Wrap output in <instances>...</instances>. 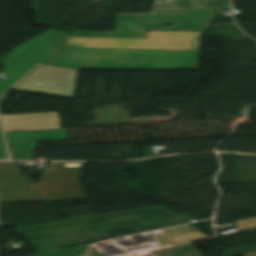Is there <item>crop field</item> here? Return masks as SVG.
<instances>
[{"label":"crop field","instance_id":"1","mask_svg":"<svg viewBox=\"0 0 256 256\" xmlns=\"http://www.w3.org/2000/svg\"><path fill=\"white\" fill-rule=\"evenodd\" d=\"M199 51L63 48L52 65L72 68L175 69Z\"/></svg>","mask_w":256,"mask_h":256},{"label":"crop field","instance_id":"2","mask_svg":"<svg viewBox=\"0 0 256 256\" xmlns=\"http://www.w3.org/2000/svg\"><path fill=\"white\" fill-rule=\"evenodd\" d=\"M216 9L186 10L182 15H118V31L75 30L70 37L146 38L148 30L205 31ZM171 23L172 26H164Z\"/></svg>","mask_w":256,"mask_h":256},{"label":"crop field","instance_id":"3","mask_svg":"<svg viewBox=\"0 0 256 256\" xmlns=\"http://www.w3.org/2000/svg\"><path fill=\"white\" fill-rule=\"evenodd\" d=\"M200 32L149 31L147 39L68 38L63 47L199 50Z\"/></svg>","mask_w":256,"mask_h":256},{"label":"crop field","instance_id":"4","mask_svg":"<svg viewBox=\"0 0 256 256\" xmlns=\"http://www.w3.org/2000/svg\"><path fill=\"white\" fill-rule=\"evenodd\" d=\"M69 35L50 29L15 48L0 63L28 72L38 62L50 63Z\"/></svg>","mask_w":256,"mask_h":256},{"label":"crop field","instance_id":"5","mask_svg":"<svg viewBox=\"0 0 256 256\" xmlns=\"http://www.w3.org/2000/svg\"><path fill=\"white\" fill-rule=\"evenodd\" d=\"M77 75L75 69L40 65L13 89L74 98Z\"/></svg>","mask_w":256,"mask_h":256},{"label":"crop field","instance_id":"6","mask_svg":"<svg viewBox=\"0 0 256 256\" xmlns=\"http://www.w3.org/2000/svg\"><path fill=\"white\" fill-rule=\"evenodd\" d=\"M5 133L12 159L33 160V150L40 140H68L65 129Z\"/></svg>","mask_w":256,"mask_h":256},{"label":"crop field","instance_id":"7","mask_svg":"<svg viewBox=\"0 0 256 256\" xmlns=\"http://www.w3.org/2000/svg\"><path fill=\"white\" fill-rule=\"evenodd\" d=\"M5 131L61 128L58 112L1 115Z\"/></svg>","mask_w":256,"mask_h":256},{"label":"crop field","instance_id":"8","mask_svg":"<svg viewBox=\"0 0 256 256\" xmlns=\"http://www.w3.org/2000/svg\"><path fill=\"white\" fill-rule=\"evenodd\" d=\"M231 0H168L155 3L152 13H183L190 8H231Z\"/></svg>","mask_w":256,"mask_h":256},{"label":"crop field","instance_id":"9","mask_svg":"<svg viewBox=\"0 0 256 256\" xmlns=\"http://www.w3.org/2000/svg\"><path fill=\"white\" fill-rule=\"evenodd\" d=\"M171 234H173L176 238H178L182 242L208 238L207 236L200 233L199 229L191 227L189 225L180 226L176 228L166 229ZM163 246L178 244L175 240H173L167 233L163 230L152 232L151 233Z\"/></svg>","mask_w":256,"mask_h":256},{"label":"crop field","instance_id":"10","mask_svg":"<svg viewBox=\"0 0 256 256\" xmlns=\"http://www.w3.org/2000/svg\"><path fill=\"white\" fill-rule=\"evenodd\" d=\"M156 256H202L190 243L153 252Z\"/></svg>","mask_w":256,"mask_h":256},{"label":"crop field","instance_id":"11","mask_svg":"<svg viewBox=\"0 0 256 256\" xmlns=\"http://www.w3.org/2000/svg\"><path fill=\"white\" fill-rule=\"evenodd\" d=\"M92 244L84 245L80 247L70 248L66 250L41 254L37 256H85Z\"/></svg>","mask_w":256,"mask_h":256},{"label":"crop field","instance_id":"12","mask_svg":"<svg viewBox=\"0 0 256 256\" xmlns=\"http://www.w3.org/2000/svg\"><path fill=\"white\" fill-rule=\"evenodd\" d=\"M34 248L39 252H47V251H53L58 250L59 248L53 243V241L49 238H41V239H35L29 241Z\"/></svg>","mask_w":256,"mask_h":256},{"label":"crop field","instance_id":"13","mask_svg":"<svg viewBox=\"0 0 256 256\" xmlns=\"http://www.w3.org/2000/svg\"><path fill=\"white\" fill-rule=\"evenodd\" d=\"M7 75V74H6ZM8 77H10V80H1L0 81V98L2 97V95L12 86L14 85L19 79H21L20 77H16V76H11V75H7Z\"/></svg>","mask_w":256,"mask_h":256},{"label":"crop field","instance_id":"14","mask_svg":"<svg viewBox=\"0 0 256 256\" xmlns=\"http://www.w3.org/2000/svg\"><path fill=\"white\" fill-rule=\"evenodd\" d=\"M235 223L239 226V228L242 231L250 230V229H255L256 228V218L236 221Z\"/></svg>","mask_w":256,"mask_h":256},{"label":"crop field","instance_id":"15","mask_svg":"<svg viewBox=\"0 0 256 256\" xmlns=\"http://www.w3.org/2000/svg\"><path fill=\"white\" fill-rule=\"evenodd\" d=\"M0 159H7L1 133H0Z\"/></svg>","mask_w":256,"mask_h":256},{"label":"crop field","instance_id":"16","mask_svg":"<svg viewBox=\"0 0 256 256\" xmlns=\"http://www.w3.org/2000/svg\"><path fill=\"white\" fill-rule=\"evenodd\" d=\"M97 254H98V253L95 251V249L92 248V250H91L89 256H94V255H97Z\"/></svg>","mask_w":256,"mask_h":256},{"label":"crop field","instance_id":"17","mask_svg":"<svg viewBox=\"0 0 256 256\" xmlns=\"http://www.w3.org/2000/svg\"><path fill=\"white\" fill-rule=\"evenodd\" d=\"M246 256H256V254L246 255Z\"/></svg>","mask_w":256,"mask_h":256}]
</instances>
